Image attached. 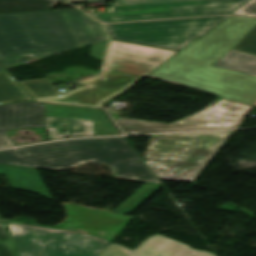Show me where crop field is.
I'll return each instance as SVG.
<instances>
[{
	"label": "crop field",
	"instance_id": "6",
	"mask_svg": "<svg viewBox=\"0 0 256 256\" xmlns=\"http://www.w3.org/2000/svg\"><path fill=\"white\" fill-rule=\"evenodd\" d=\"M229 16L129 22L104 25L113 40L179 51Z\"/></svg>",
	"mask_w": 256,
	"mask_h": 256
},
{
	"label": "crop field",
	"instance_id": "2",
	"mask_svg": "<svg viewBox=\"0 0 256 256\" xmlns=\"http://www.w3.org/2000/svg\"><path fill=\"white\" fill-rule=\"evenodd\" d=\"M89 162L110 167L117 178L161 184L125 137L63 141L0 152L1 164L45 170L70 169Z\"/></svg>",
	"mask_w": 256,
	"mask_h": 256
},
{
	"label": "crop field",
	"instance_id": "25",
	"mask_svg": "<svg viewBox=\"0 0 256 256\" xmlns=\"http://www.w3.org/2000/svg\"><path fill=\"white\" fill-rule=\"evenodd\" d=\"M106 46H107V40L94 44L92 46V50H91L90 55L103 60L105 50H106Z\"/></svg>",
	"mask_w": 256,
	"mask_h": 256
},
{
	"label": "crop field",
	"instance_id": "4",
	"mask_svg": "<svg viewBox=\"0 0 256 256\" xmlns=\"http://www.w3.org/2000/svg\"><path fill=\"white\" fill-rule=\"evenodd\" d=\"M231 132L151 136L143 158L157 178L192 182Z\"/></svg>",
	"mask_w": 256,
	"mask_h": 256
},
{
	"label": "crop field",
	"instance_id": "3",
	"mask_svg": "<svg viewBox=\"0 0 256 256\" xmlns=\"http://www.w3.org/2000/svg\"><path fill=\"white\" fill-rule=\"evenodd\" d=\"M175 53L177 52L111 40L103 73L76 82L89 87L67 92L64 96L36 101L102 108L103 101L124 92ZM74 101L78 104H73Z\"/></svg>",
	"mask_w": 256,
	"mask_h": 256
},
{
	"label": "crop field",
	"instance_id": "13",
	"mask_svg": "<svg viewBox=\"0 0 256 256\" xmlns=\"http://www.w3.org/2000/svg\"><path fill=\"white\" fill-rule=\"evenodd\" d=\"M61 11L79 46L84 47L108 39L99 23L77 9Z\"/></svg>",
	"mask_w": 256,
	"mask_h": 256
},
{
	"label": "crop field",
	"instance_id": "21",
	"mask_svg": "<svg viewBox=\"0 0 256 256\" xmlns=\"http://www.w3.org/2000/svg\"><path fill=\"white\" fill-rule=\"evenodd\" d=\"M256 55V25L233 47Z\"/></svg>",
	"mask_w": 256,
	"mask_h": 256
},
{
	"label": "crop field",
	"instance_id": "18",
	"mask_svg": "<svg viewBox=\"0 0 256 256\" xmlns=\"http://www.w3.org/2000/svg\"><path fill=\"white\" fill-rule=\"evenodd\" d=\"M31 99L6 70L0 72V103Z\"/></svg>",
	"mask_w": 256,
	"mask_h": 256
},
{
	"label": "crop field",
	"instance_id": "7",
	"mask_svg": "<svg viewBox=\"0 0 256 256\" xmlns=\"http://www.w3.org/2000/svg\"><path fill=\"white\" fill-rule=\"evenodd\" d=\"M7 225L21 256H97L109 243L78 231Z\"/></svg>",
	"mask_w": 256,
	"mask_h": 256
},
{
	"label": "crop field",
	"instance_id": "27",
	"mask_svg": "<svg viewBox=\"0 0 256 256\" xmlns=\"http://www.w3.org/2000/svg\"><path fill=\"white\" fill-rule=\"evenodd\" d=\"M1 70H4V68L0 65V71H1Z\"/></svg>",
	"mask_w": 256,
	"mask_h": 256
},
{
	"label": "crop field",
	"instance_id": "15",
	"mask_svg": "<svg viewBox=\"0 0 256 256\" xmlns=\"http://www.w3.org/2000/svg\"><path fill=\"white\" fill-rule=\"evenodd\" d=\"M214 66L256 77V56L231 49Z\"/></svg>",
	"mask_w": 256,
	"mask_h": 256
},
{
	"label": "crop field",
	"instance_id": "11",
	"mask_svg": "<svg viewBox=\"0 0 256 256\" xmlns=\"http://www.w3.org/2000/svg\"><path fill=\"white\" fill-rule=\"evenodd\" d=\"M100 256H216L198 251L188 245L168 239L158 234L145 239L136 249L131 251L125 247L111 243Z\"/></svg>",
	"mask_w": 256,
	"mask_h": 256
},
{
	"label": "crop field",
	"instance_id": "12",
	"mask_svg": "<svg viewBox=\"0 0 256 256\" xmlns=\"http://www.w3.org/2000/svg\"><path fill=\"white\" fill-rule=\"evenodd\" d=\"M45 127L44 104L17 102L0 105V148L12 146L6 136L10 129Z\"/></svg>",
	"mask_w": 256,
	"mask_h": 256
},
{
	"label": "crop field",
	"instance_id": "22",
	"mask_svg": "<svg viewBox=\"0 0 256 256\" xmlns=\"http://www.w3.org/2000/svg\"><path fill=\"white\" fill-rule=\"evenodd\" d=\"M0 256H17L3 223H0Z\"/></svg>",
	"mask_w": 256,
	"mask_h": 256
},
{
	"label": "crop field",
	"instance_id": "23",
	"mask_svg": "<svg viewBox=\"0 0 256 256\" xmlns=\"http://www.w3.org/2000/svg\"><path fill=\"white\" fill-rule=\"evenodd\" d=\"M232 14L256 17V0H250L248 3L237 9Z\"/></svg>",
	"mask_w": 256,
	"mask_h": 256
},
{
	"label": "crop field",
	"instance_id": "20",
	"mask_svg": "<svg viewBox=\"0 0 256 256\" xmlns=\"http://www.w3.org/2000/svg\"><path fill=\"white\" fill-rule=\"evenodd\" d=\"M19 83L33 98L60 94L48 79L22 81Z\"/></svg>",
	"mask_w": 256,
	"mask_h": 256
},
{
	"label": "crop field",
	"instance_id": "14",
	"mask_svg": "<svg viewBox=\"0 0 256 256\" xmlns=\"http://www.w3.org/2000/svg\"><path fill=\"white\" fill-rule=\"evenodd\" d=\"M0 174L7 177L13 188L35 192L52 200L36 169L0 164Z\"/></svg>",
	"mask_w": 256,
	"mask_h": 256
},
{
	"label": "crop field",
	"instance_id": "24",
	"mask_svg": "<svg viewBox=\"0 0 256 256\" xmlns=\"http://www.w3.org/2000/svg\"><path fill=\"white\" fill-rule=\"evenodd\" d=\"M175 1H189V0H115L114 6L147 4V3H161V2H175Z\"/></svg>",
	"mask_w": 256,
	"mask_h": 256
},
{
	"label": "crop field",
	"instance_id": "16",
	"mask_svg": "<svg viewBox=\"0 0 256 256\" xmlns=\"http://www.w3.org/2000/svg\"><path fill=\"white\" fill-rule=\"evenodd\" d=\"M53 0H0V13L50 10Z\"/></svg>",
	"mask_w": 256,
	"mask_h": 256
},
{
	"label": "crop field",
	"instance_id": "17",
	"mask_svg": "<svg viewBox=\"0 0 256 256\" xmlns=\"http://www.w3.org/2000/svg\"><path fill=\"white\" fill-rule=\"evenodd\" d=\"M161 186L162 185L158 184L144 183L137 191H135L131 196H129L112 212L129 215L148 197H150L154 192H156Z\"/></svg>",
	"mask_w": 256,
	"mask_h": 256
},
{
	"label": "crop field",
	"instance_id": "9",
	"mask_svg": "<svg viewBox=\"0 0 256 256\" xmlns=\"http://www.w3.org/2000/svg\"><path fill=\"white\" fill-rule=\"evenodd\" d=\"M249 0H204L108 7L109 12L90 13L102 22L230 14Z\"/></svg>",
	"mask_w": 256,
	"mask_h": 256
},
{
	"label": "crop field",
	"instance_id": "28",
	"mask_svg": "<svg viewBox=\"0 0 256 256\" xmlns=\"http://www.w3.org/2000/svg\"><path fill=\"white\" fill-rule=\"evenodd\" d=\"M256 106V105H255Z\"/></svg>",
	"mask_w": 256,
	"mask_h": 256
},
{
	"label": "crop field",
	"instance_id": "10",
	"mask_svg": "<svg viewBox=\"0 0 256 256\" xmlns=\"http://www.w3.org/2000/svg\"><path fill=\"white\" fill-rule=\"evenodd\" d=\"M45 110L48 140L120 134L104 110L50 104H45Z\"/></svg>",
	"mask_w": 256,
	"mask_h": 256
},
{
	"label": "crop field",
	"instance_id": "1",
	"mask_svg": "<svg viewBox=\"0 0 256 256\" xmlns=\"http://www.w3.org/2000/svg\"><path fill=\"white\" fill-rule=\"evenodd\" d=\"M255 24L256 19L231 16L204 37L193 40L147 78L253 105L256 78L212 65Z\"/></svg>",
	"mask_w": 256,
	"mask_h": 256
},
{
	"label": "crop field",
	"instance_id": "5",
	"mask_svg": "<svg viewBox=\"0 0 256 256\" xmlns=\"http://www.w3.org/2000/svg\"><path fill=\"white\" fill-rule=\"evenodd\" d=\"M78 46L60 11L0 14V55Z\"/></svg>",
	"mask_w": 256,
	"mask_h": 256
},
{
	"label": "crop field",
	"instance_id": "26",
	"mask_svg": "<svg viewBox=\"0 0 256 256\" xmlns=\"http://www.w3.org/2000/svg\"><path fill=\"white\" fill-rule=\"evenodd\" d=\"M67 3H77V2H89V1H105V0H60Z\"/></svg>",
	"mask_w": 256,
	"mask_h": 256
},
{
	"label": "crop field",
	"instance_id": "8",
	"mask_svg": "<svg viewBox=\"0 0 256 256\" xmlns=\"http://www.w3.org/2000/svg\"><path fill=\"white\" fill-rule=\"evenodd\" d=\"M251 105L219 97L203 111L173 124L114 118L125 134L236 127Z\"/></svg>",
	"mask_w": 256,
	"mask_h": 256
},
{
	"label": "crop field",
	"instance_id": "19",
	"mask_svg": "<svg viewBox=\"0 0 256 256\" xmlns=\"http://www.w3.org/2000/svg\"><path fill=\"white\" fill-rule=\"evenodd\" d=\"M76 48H80V47H76ZM76 48H73V49H76ZM59 51H68V50H53V51L39 52L37 48H34V49L21 51L14 54L0 56V61L3 63L6 69H8V68L20 65V63L27 58L43 59Z\"/></svg>",
	"mask_w": 256,
	"mask_h": 256
}]
</instances>
